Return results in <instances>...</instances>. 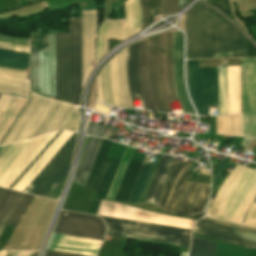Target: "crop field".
Masks as SVG:
<instances>
[{
  "label": "crop field",
  "instance_id": "1",
  "mask_svg": "<svg viewBox=\"0 0 256 256\" xmlns=\"http://www.w3.org/2000/svg\"><path fill=\"white\" fill-rule=\"evenodd\" d=\"M189 58L245 56L246 38L230 23L196 4L186 13Z\"/></svg>",
  "mask_w": 256,
  "mask_h": 256
},
{
  "label": "crop field",
  "instance_id": "2",
  "mask_svg": "<svg viewBox=\"0 0 256 256\" xmlns=\"http://www.w3.org/2000/svg\"><path fill=\"white\" fill-rule=\"evenodd\" d=\"M189 91L199 115H208V105H218L219 115L227 114L226 67L198 68L188 61ZM228 114L241 113L240 66L227 67Z\"/></svg>",
  "mask_w": 256,
  "mask_h": 256
},
{
  "label": "crop field",
  "instance_id": "3",
  "mask_svg": "<svg viewBox=\"0 0 256 256\" xmlns=\"http://www.w3.org/2000/svg\"><path fill=\"white\" fill-rule=\"evenodd\" d=\"M37 99L38 97L33 95L0 146L11 143ZM78 121L79 112L76 111L75 106L39 97L12 142L31 138L53 130L66 129L77 131Z\"/></svg>",
  "mask_w": 256,
  "mask_h": 256
},
{
  "label": "crop field",
  "instance_id": "4",
  "mask_svg": "<svg viewBox=\"0 0 256 256\" xmlns=\"http://www.w3.org/2000/svg\"><path fill=\"white\" fill-rule=\"evenodd\" d=\"M81 91V19H70L69 32L56 33L55 100L78 105Z\"/></svg>",
  "mask_w": 256,
  "mask_h": 256
},
{
  "label": "crop field",
  "instance_id": "5",
  "mask_svg": "<svg viewBox=\"0 0 256 256\" xmlns=\"http://www.w3.org/2000/svg\"><path fill=\"white\" fill-rule=\"evenodd\" d=\"M176 161H179V160L172 159L173 166L171 168V171L169 173V176L167 178V181L162 190V193L160 195V198L158 200L156 207H158V205L160 203V200L163 196L165 188L168 184L170 176L175 167ZM181 162H182L181 168H180V164H181L180 162H177V164H176V167L171 176V179L169 181V184L166 188V191L164 193V196L161 200L159 207L164 208V205L166 203V200L168 198V195L170 193V190L172 188V185L174 183V180H175L178 170L180 168L179 173L177 175V178L175 180V183L173 185V188L171 190V193L169 195V198L167 200V203H166L163 211L168 214L186 216L188 214L200 212L202 210L204 202L208 195L210 185L185 181L193 161L188 159L187 162H183V161H181Z\"/></svg>",
  "mask_w": 256,
  "mask_h": 256
},
{
  "label": "crop field",
  "instance_id": "6",
  "mask_svg": "<svg viewBox=\"0 0 256 256\" xmlns=\"http://www.w3.org/2000/svg\"><path fill=\"white\" fill-rule=\"evenodd\" d=\"M150 76L155 102L160 111L172 112L168 103L176 101L172 76V33L150 38Z\"/></svg>",
  "mask_w": 256,
  "mask_h": 256
},
{
  "label": "crop field",
  "instance_id": "7",
  "mask_svg": "<svg viewBox=\"0 0 256 256\" xmlns=\"http://www.w3.org/2000/svg\"><path fill=\"white\" fill-rule=\"evenodd\" d=\"M32 92L55 97V33L32 34Z\"/></svg>",
  "mask_w": 256,
  "mask_h": 256
},
{
  "label": "crop field",
  "instance_id": "8",
  "mask_svg": "<svg viewBox=\"0 0 256 256\" xmlns=\"http://www.w3.org/2000/svg\"><path fill=\"white\" fill-rule=\"evenodd\" d=\"M75 136H76V133H74L70 137V139L63 145V147L56 153V155L49 161V163L41 170V172L27 186L24 192H28V193H32V194H36L44 197H46L49 194V192L57 185V183L69 171V167L72 161V150H73V145L75 141ZM67 175L68 173L58 183V185L50 192L47 198L58 200ZM20 178L16 181V183L20 180Z\"/></svg>",
  "mask_w": 256,
  "mask_h": 256
},
{
  "label": "crop field",
  "instance_id": "9",
  "mask_svg": "<svg viewBox=\"0 0 256 256\" xmlns=\"http://www.w3.org/2000/svg\"><path fill=\"white\" fill-rule=\"evenodd\" d=\"M101 217L103 218L105 223L115 224L114 228H118V229L122 228V224H123L124 220L103 217V216H101ZM110 224H107V226H108L107 233L112 234L113 230H117V229H113L114 225H110ZM153 226L154 225H151V224H145V223H139V222L125 220L122 230H117V231H121L120 235H123V236H131V237L149 239L151 231L153 229ZM154 228L182 232V233H185V231H186L183 229L170 228V227H164V226H158V225H155ZM156 230L152 231L151 238L148 241L161 242V243L189 247L190 240H188V239H190V233L192 230H187V232H186V238H188V239H185V235H182V234L162 232L163 230L162 231H156ZM117 231H114L113 235L119 236L120 232H117ZM131 237H129V238H131ZM138 238H135V239H138ZM146 239H142V240H146Z\"/></svg>",
  "mask_w": 256,
  "mask_h": 256
},
{
  "label": "crop field",
  "instance_id": "10",
  "mask_svg": "<svg viewBox=\"0 0 256 256\" xmlns=\"http://www.w3.org/2000/svg\"><path fill=\"white\" fill-rule=\"evenodd\" d=\"M112 141L104 139L86 183V187L98 192L92 207L98 208L105 199L116 173L120 158L107 157Z\"/></svg>",
  "mask_w": 256,
  "mask_h": 256
},
{
  "label": "crop field",
  "instance_id": "11",
  "mask_svg": "<svg viewBox=\"0 0 256 256\" xmlns=\"http://www.w3.org/2000/svg\"><path fill=\"white\" fill-rule=\"evenodd\" d=\"M105 231L97 216L61 211L54 232L103 241Z\"/></svg>",
  "mask_w": 256,
  "mask_h": 256
},
{
  "label": "crop field",
  "instance_id": "12",
  "mask_svg": "<svg viewBox=\"0 0 256 256\" xmlns=\"http://www.w3.org/2000/svg\"><path fill=\"white\" fill-rule=\"evenodd\" d=\"M243 135L256 138V58L242 59Z\"/></svg>",
  "mask_w": 256,
  "mask_h": 256
},
{
  "label": "crop field",
  "instance_id": "13",
  "mask_svg": "<svg viewBox=\"0 0 256 256\" xmlns=\"http://www.w3.org/2000/svg\"><path fill=\"white\" fill-rule=\"evenodd\" d=\"M32 195L2 188L0 192V236L7 225L15 227Z\"/></svg>",
  "mask_w": 256,
  "mask_h": 256
},
{
  "label": "crop field",
  "instance_id": "14",
  "mask_svg": "<svg viewBox=\"0 0 256 256\" xmlns=\"http://www.w3.org/2000/svg\"><path fill=\"white\" fill-rule=\"evenodd\" d=\"M100 99L105 103L123 108L117 77V55L101 70L98 77Z\"/></svg>",
  "mask_w": 256,
  "mask_h": 256
},
{
  "label": "crop field",
  "instance_id": "15",
  "mask_svg": "<svg viewBox=\"0 0 256 256\" xmlns=\"http://www.w3.org/2000/svg\"><path fill=\"white\" fill-rule=\"evenodd\" d=\"M101 241L78 238L54 233L47 249L75 253L87 256H96Z\"/></svg>",
  "mask_w": 256,
  "mask_h": 256
},
{
  "label": "crop field",
  "instance_id": "16",
  "mask_svg": "<svg viewBox=\"0 0 256 256\" xmlns=\"http://www.w3.org/2000/svg\"><path fill=\"white\" fill-rule=\"evenodd\" d=\"M183 38L180 32L173 33V75L176 95L184 113L192 111L182 73Z\"/></svg>",
  "mask_w": 256,
  "mask_h": 256
},
{
  "label": "crop field",
  "instance_id": "17",
  "mask_svg": "<svg viewBox=\"0 0 256 256\" xmlns=\"http://www.w3.org/2000/svg\"><path fill=\"white\" fill-rule=\"evenodd\" d=\"M82 46H83V84L92 69L94 58V37L96 33L97 11H82Z\"/></svg>",
  "mask_w": 256,
  "mask_h": 256
},
{
  "label": "crop field",
  "instance_id": "18",
  "mask_svg": "<svg viewBox=\"0 0 256 256\" xmlns=\"http://www.w3.org/2000/svg\"><path fill=\"white\" fill-rule=\"evenodd\" d=\"M139 77L143 101L147 109L159 111L152 95L149 76V38L139 41Z\"/></svg>",
  "mask_w": 256,
  "mask_h": 256
},
{
  "label": "crop field",
  "instance_id": "19",
  "mask_svg": "<svg viewBox=\"0 0 256 256\" xmlns=\"http://www.w3.org/2000/svg\"><path fill=\"white\" fill-rule=\"evenodd\" d=\"M0 92L29 95L27 71L0 67Z\"/></svg>",
  "mask_w": 256,
  "mask_h": 256
},
{
  "label": "crop field",
  "instance_id": "20",
  "mask_svg": "<svg viewBox=\"0 0 256 256\" xmlns=\"http://www.w3.org/2000/svg\"><path fill=\"white\" fill-rule=\"evenodd\" d=\"M190 1L188 0H140L142 25L141 29L153 22V16L149 13V8H161V14H170L176 10L182 9Z\"/></svg>",
  "mask_w": 256,
  "mask_h": 256
},
{
  "label": "crop field",
  "instance_id": "21",
  "mask_svg": "<svg viewBox=\"0 0 256 256\" xmlns=\"http://www.w3.org/2000/svg\"><path fill=\"white\" fill-rule=\"evenodd\" d=\"M0 47L19 49L29 51V48L2 44ZM0 48V65L17 67V68H29V52Z\"/></svg>",
  "mask_w": 256,
  "mask_h": 256
},
{
  "label": "crop field",
  "instance_id": "22",
  "mask_svg": "<svg viewBox=\"0 0 256 256\" xmlns=\"http://www.w3.org/2000/svg\"><path fill=\"white\" fill-rule=\"evenodd\" d=\"M102 140V138H90L75 178L73 180L74 182L79 183L83 186L85 185Z\"/></svg>",
  "mask_w": 256,
  "mask_h": 256
},
{
  "label": "crop field",
  "instance_id": "23",
  "mask_svg": "<svg viewBox=\"0 0 256 256\" xmlns=\"http://www.w3.org/2000/svg\"><path fill=\"white\" fill-rule=\"evenodd\" d=\"M173 156H162L148 194L144 202L156 205L163 185L166 181L170 168L172 166L171 158Z\"/></svg>",
  "mask_w": 256,
  "mask_h": 256
},
{
  "label": "crop field",
  "instance_id": "24",
  "mask_svg": "<svg viewBox=\"0 0 256 256\" xmlns=\"http://www.w3.org/2000/svg\"><path fill=\"white\" fill-rule=\"evenodd\" d=\"M143 161L131 158L114 200L127 203Z\"/></svg>",
  "mask_w": 256,
  "mask_h": 256
},
{
  "label": "crop field",
  "instance_id": "25",
  "mask_svg": "<svg viewBox=\"0 0 256 256\" xmlns=\"http://www.w3.org/2000/svg\"><path fill=\"white\" fill-rule=\"evenodd\" d=\"M127 75L131 96H141L138 77V42L128 46Z\"/></svg>",
  "mask_w": 256,
  "mask_h": 256
},
{
  "label": "crop field",
  "instance_id": "26",
  "mask_svg": "<svg viewBox=\"0 0 256 256\" xmlns=\"http://www.w3.org/2000/svg\"><path fill=\"white\" fill-rule=\"evenodd\" d=\"M196 227L204 228L207 230L215 231L218 233L230 235L233 237L241 238L256 243V234L223 226L213 221L201 219L197 222Z\"/></svg>",
  "mask_w": 256,
  "mask_h": 256
},
{
  "label": "crop field",
  "instance_id": "27",
  "mask_svg": "<svg viewBox=\"0 0 256 256\" xmlns=\"http://www.w3.org/2000/svg\"><path fill=\"white\" fill-rule=\"evenodd\" d=\"M127 47L118 53V76L120 94L124 108H133L126 76Z\"/></svg>",
  "mask_w": 256,
  "mask_h": 256
},
{
  "label": "crop field",
  "instance_id": "28",
  "mask_svg": "<svg viewBox=\"0 0 256 256\" xmlns=\"http://www.w3.org/2000/svg\"><path fill=\"white\" fill-rule=\"evenodd\" d=\"M125 9V30H124V37L123 39L130 36L131 28H132V21H133V9H134V22L131 35L140 31V24H141V14H140V5L139 0H133V9H132V0H128L124 3Z\"/></svg>",
  "mask_w": 256,
  "mask_h": 256
},
{
  "label": "crop field",
  "instance_id": "29",
  "mask_svg": "<svg viewBox=\"0 0 256 256\" xmlns=\"http://www.w3.org/2000/svg\"><path fill=\"white\" fill-rule=\"evenodd\" d=\"M217 133L219 135L241 137V116L216 117Z\"/></svg>",
  "mask_w": 256,
  "mask_h": 256
},
{
  "label": "crop field",
  "instance_id": "30",
  "mask_svg": "<svg viewBox=\"0 0 256 256\" xmlns=\"http://www.w3.org/2000/svg\"><path fill=\"white\" fill-rule=\"evenodd\" d=\"M245 169L244 166H240L237 165L232 172L230 173V175L228 176V178L226 179V181L224 182V184L221 186V188L219 189L209 211H208V215L215 217L216 212L223 200V198L225 197L230 185L234 182V180L238 177V175Z\"/></svg>",
  "mask_w": 256,
  "mask_h": 256
},
{
  "label": "crop field",
  "instance_id": "31",
  "mask_svg": "<svg viewBox=\"0 0 256 256\" xmlns=\"http://www.w3.org/2000/svg\"><path fill=\"white\" fill-rule=\"evenodd\" d=\"M216 245V242L193 236L188 256H214Z\"/></svg>",
  "mask_w": 256,
  "mask_h": 256
},
{
  "label": "crop field",
  "instance_id": "32",
  "mask_svg": "<svg viewBox=\"0 0 256 256\" xmlns=\"http://www.w3.org/2000/svg\"><path fill=\"white\" fill-rule=\"evenodd\" d=\"M134 150H135L134 148H131L128 146L126 147L124 155L122 157V160L120 162L117 173L115 175V178L113 180V183L111 185L110 191H109L106 199H112V200L114 199L117 189L119 187V184L121 182L122 176H123L126 166L128 164V161H129L132 153L134 152Z\"/></svg>",
  "mask_w": 256,
  "mask_h": 256
},
{
  "label": "crop field",
  "instance_id": "33",
  "mask_svg": "<svg viewBox=\"0 0 256 256\" xmlns=\"http://www.w3.org/2000/svg\"><path fill=\"white\" fill-rule=\"evenodd\" d=\"M193 232L201 234V235L209 236V237H212V238H216V239H219V240L227 241V242H230V243H234V244H237V245L245 246V247H248V248H252V249L256 248L255 243L244 241V240L233 238V237H229V236L222 235V234H218V233H215V232L207 231V230H204V229H200V228L195 227Z\"/></svg>",
  "mask_w": 256,
  "mask_h": 256
},
{
  "label": "crop field",
  "instance_id": "34",
  "mask_svg": "<svg viewBox=\"0 0 256 256\" xmlns=\"http://www.w3.org/2000/svg\"><path fill=\"white\" fill-rule=\"evenodd\" d=\"M152 164L145 163L142 166V169L140 171L139 177L137 179V182L135 184V187L133 189L132 195L130 197V200L128 203H134L137 202L139 199V196L142 192V189L144 187V184L146 182V179L148 177V174L151 170Z\"/></svg>",
  "mask_w": 256,
  "mask_h": 256
},
{
  "label": "crop field",
  "instance_id": "35",
  "mask_svg": "<svg viewBox=\"0 0 256 256\" xmlns=\"http://www.w3.org/2000/svg\"><path fill=\"white\" fill-rule=\"evenodd\" d=\"M161 156H162L161 154H158V155H157L156 161L154 162V166H153V168H152V170H151V173H150V175H149V178H148V180H147V182H146V185H145V187H144V189H143V192H142L141 197H140V199H139L138 202H143V201H144L145 196H146V194H147V191H148V189H149V186H150V184H151L152 178H153V176H154V173H155L156 168H157V166H158V163H159V161H160Z\"/></svg>",
  "mask_w": 256,
  "mask_h": 256
},
{
  "label": "crop field",
  "instance_id": "36",
  "mask_svg": "<svg viewBox=\"0 0 256 256\" xmlns=\"http://www.w3.org/2000/svg\"><path fill=\"white\" fill-rule=\"evenodd\" d=\"M106 125L103 124H89L86 134L103 137Z\"/></svg>",
  "mask_w": 256,
  "mask_h": 256
},
{
  "label": "crop field",
  "instance_id": "37",
  "mask_svg": "<svg viewBox=\"0 0 256 256\" xmlns=\"http://www.w3.org/2000/svg\"><path fill=\"white\" fill-rule=\"evenodd\" d=\"M244 225L252 228H256V203H254Z\"/></svg>",
  "mask_w": 256,
  "mask_h": 256
},
{
  "label": "crop field",
  "instance_id": "38",
  "mask_svg": "<svg viewBox=\"0 0 256 256\" xmlns=\"http://www.w3.org/2000/svg\"><path fill=\"white\" fill-rule=\"evenodd\" d=\"M36 253L38 251H5L4 256H34Z\"/></svg>",
  "mask_w": 256,
  "mask_h": 256
},
{
  "label": "crop field",
  "instance_id": "39",
  "mask_svg": "<svg viewBox=\"0 0 256 256\" xmlns=\"http://www.w3.org/2000/svg\"><path fill=\"white\" fill-rule=\"evenodd\" d=\"M0 42L29 47V43L28 42H24V41L0 38Z\"/></svg>",
  "mask_w": 256,
  "mask_h": 256
},
{
  "label": "crop field",
  "instance_id": "40",
  "mask_svg": "<svg viewBox=\"0 0 256 256\" xmlns=\"http://www.w3.org/2000/svg\"><path fill=\"white\" fill-rule=\"evenodd\" d=\"M229 164H226L223 169L220 171V173L217 175V177L214 179V181L212 182V188L211 190L214 188V186L217 184L218 180L220 179V177L224 174V172L229 168Z\"/></svg>",
  "mask_w": 256,
  "mask_h": 256
},
{
  "label": "crop field",
  "instance_id": "41",
  "mask_svg": "<svg viewBox=\"0 0 256 256\" xmlns=\"http://www.w3.org/2000/svg\"><path fill=\"white\" fill-rule=\"evenodd\" d=\"M229 159L230 158L227 157L226 160L216 169V171L212 174V180L215 178V176L218 174L221 168L228 162Z\"/></svg>",
  "mask_w": 256,
  "mask_h": 256
},
{
  "label": "crop field",
  "instance_id": "42",
  "mask_svg": "<svg viewBox=\"0 0 256 256\" xmlns=\"http://www.w3.org/2000/svg\"><path fill=\"white\" fill-rule=\"evenodd\" d=\"M45 256H75V255H68V254L46 251Z\"/></svg>",
  "mask_w": 256,
  "mask_h": 256
},
{
  "label": "crop field",
  "instance_id": "43",
  "mask_svg": "<svg viewBox=\"0 0 256 256\" xmlns=\"http://www.w3.org/2000/svg\"><path fill=\"white\" fill-rule=\"evenodd\" d=\"M8 146H5V147H0V155L6 150Z\"/></svg>",
  "mask_w": 256,
  "mask_h": 256
},
{
  "label": "crop field",
  "instance_id": "44",
  "mask_svg": "<svg viewBox=\"0 0 256 256\" xmlns=\"http://www.w3.org/2000/svg\"><path fill=\"white\" fill-rule=\"evenodd\" d=\"M27 3L30 2V1H33V0H25Z\"/></svg>",
  "mask_w": 256,
  "mask_h": 256
},
{
  "label": "crop field",
  "instance_id": "45",
  "mask_svg": "<svg viewBox=\"0 0 256 256\" xmlns=\"http://www.w3.org/2000/svg\"><path fill=\"white\" fill-rule=\"evenodd\" d=\"M0 190H1V188H0Z\"/></svg>",
  "mask_w": 256,
  "mask_h": 256
}]
</instances>
